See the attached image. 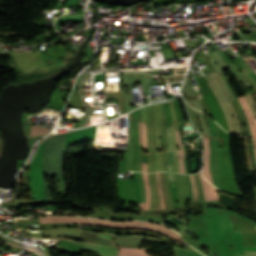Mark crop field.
Here are the masks:
<instances>
[{"mask_svg":"<svg viewBox=\"0 0 256 256\" xmlns=\"http://www.w3.org/2000/svg\"><path fill=\"white\" fill-rule=\"evenodd\" d=\"M39 219H40V223H76V224L93 226L91 221L87 218L58 216V217H39Z\"/></svg>","mask_w":256,"mask_h":256,"instance_id":"ac0d7876","label":"crop field"},{"mask_svg":"<svg viewBox=\"0 0 256 256\" xmlns=\"http://www.w3.org/2000/svg\"><path fill=\"white\" fill-rule=\"evenodd\" d=\"M138 177H139L141 191H142V200H141V202L145 203V189H144V183H143L141 173H138Z\"/></svg>","mask_w":256,"mask_h":256,"instance_id":"cbeb9de0","label":"crop field"},{"mask_svg":"<svg viewBox=\"0 0 256 256\" xmlns=\"http://www.w3.org/2000/svg\"><path fill=\"white\" fill-rule=\"evenodd\" d=\"M254 142V148H255V154H256V140H253Z\"/></svg>","mask_w":256,"mask_h":256,"instance_id":"a9b5d70f","label":"crop field"},{"mask_svg":"<svg viewBox=\"0 0 256 256\" xmlns=\"http://www.w3.org/2000/svg\"><path fill=\"white\" fill-rule=\"evenodd\" d=\"M199 176H200L202 188H203L204 195H205V201L219 200L214 187L203 179L201 172H199Z\"/></svg>","mask_w":256,"mask_h":256,"instance_id":"412701ff","label":"crop field"},{"mask_svg":"<svg viewBox=\"0 0 256 256\" xmlns=\"http://www.w3.org/2000/svg\"><path fill=\"white\" fill-rule=\"evenodd\" d=\"M146 165L147 163H142V172H147Z\"/></svg>","mask_w":256,"mask_h":256,"instance_id":"92a150f3","label":"crop field"},{"mask_svg":"<svg viewBox=\"0 0 256 256\" xmlns=\"http://www.w3.org/2000/svg\"><path fill=\"white\" fill-rule=\"evenodd\" d=\"M174 250H175V254L176 256H202L201 254L199 253H195V252H191V251H187V250H184V249H181L179 247H175L174 246Z\"/></svg>","mask_w":256,"mask_h":256,"instance_id":"3316defc","label":"crop field"},{"mask_svg":"<svg viewBox=\"0 0 256 256\" xmlns=\"http://www.w3.org/2000/svg\"><path fill=\"white\" fill-rule=\"evenodd\" d=\"M167 131H168V142H169L168 170L173 172V149H172L171 138H170V127H167Z\"/></svg>","mask_w":256,"mask_h":256,"instance_id":"5a996713","label":"crop field"},{"mask_svg":"<svg viewBox=\"0 0 256 256\" xmlns=\"http://www.w3.org/2000/svg\"><path fill=\"white\" fill-rule=\"evenodd\" d=\"M147 249L119 248V256H149L145 253Z\"/></svg>","mask_w":256,"mask_h":256,"instance_id":"dd49c442","label":"crop field"},{"mask_svg":"<svg viewBox=\"0 0 256 256\" xmlns=\"http://www.w3.org/2000/svg\"><path fill=\"white\" fill-rule=\"evenodd\" d=\"M143 174V179L145 183V188H146V193H147V203H146V210L149 209V203H150V186H149V181H148V176L145 173Z\"/></svg>","mask_w":256,"mask_h":256,"instance_id":"d1516ede","label":"crop field"},{"mask_svg":"<svg viewBox=\"0 0 256 256\" xmlns=\"http://www.w3.org/2000/svg\"><path fill=\"white\" fill-rule=\"evenodd\" d=\"M51 128L42 126H31V136L44 135L48 133Z\"/></svg>","mask_w":256,"mask_h":256,"instance_id":"d8731c3e","label":"crop field"},{"mask_svg":"<svg viewBox=\"0 0 256 256\" xmlns=\"http://www.w3.org/2000/svg\"><path fill=\"white\" fill-rule=\"evenodd\" d=\"M94 225L103 226V227H110L116 229H147L157 233L164 234L180 243L185 244L181 241L179 235L163 226L158 224L149 223V222H141V221H131V222H114V221H105L99 219H93Z\"/></svg>","mask_w":256,"mask_h":256,"instance_id":"8a807250","label":"crop field"},{"mask_svg":"<svg viewBox=\"0 0 256 256\" xmlns=\"http://www.w3.org/2000/svg\"><path fill=\"white\" fill-rule=\"evenodd\" d=\"M171 182H175L174 173H169Z\"/></svg>","mask_w":256,"mask_h":256,"instance_id":"dafd665d","label":"crop field"},{"mask_svg":"<svg viewBox=\"0 0 256 256\" xmlns=\"http://www.w3.org/2000/svg\"><path fill=\"white\" fill-rule=\"evenodd\" d=\"M247 95H248V94H247ZM248 97H249V95H248ZM249 99H250V97H249ZM250 101H251V99H250ZM251 104H252V106H253V108H254V105H253L252 101H251ZM254 110H255V108H254ZM255 112H256V110H255Z\"/></svg>","mask_w":256,"mask_h":256,"instance_id":"4177f3b9","label":"crop field"},{"mask_svg":"<svg viewBox=\"0 0 256 256\" xmlns=\"http://www.w3.org/2000/svg\"><path fill=\"white\" fill-rule=\"evenodd\" d=\"M210 173L212 176V180L214 186L223 190L218 171H217V163H216V144L214 140L210 139Z\"/></svg>","mask_w":256,"mask_h":256,"instance_id":"34b2d1b8","label":"crop field"},{"mask_svg":"<svg viewBox=\"0 0 256 256\" xmlns=\"http://www.w3.org/2000/svg\"><path fill=\"white\" fill-rule=\"evenodd\" d=\"M204 140V167L203 175L204 177L212 183L210 174H209V142L208 138H203Z\"/></svg>","mask_w":256,"mask_h":256,"instance_id":"f4fd0767","label":"crop field"},{"mask_svg":"<svg viewBox=\"0 0 256 256\" xmlns=\"http://www.w3.org/2000/svg\"><path fill=\"white\" fill-rule=\"evenodd\" d=\"M139 144H142V122H138Z\"/></svg>","mask_w":256,"mask_h":256,"instance_id":"733c2abd","label":"crop field"},{"mask_svg":"<svg viewBox=\"0 0 256 256\" xmlns=\"http://www.w3.org/2000/svg\"><path fill=\"white\" fill-rule=\"evenodd\" d=\"M242 99H243V101H244V103H245V105H246V107H247V109H248V111H249V113H250V115H251V117H252L253 122H254L255 125H256V119H255V117H254L252 111L250 110V108H249V106H248V104H247V101H246L245 97L242 96Z\"/></svg>","mask_w":256,"mask_h":256,"instance_id":"d9b57169","label":"crop field"},{"mask_svg":"<svg viewBox=\"0 0 256 256\" xmlns=\"http://www.w3.org/2000/svg\"><path fill=\"white\" fill-rule=\"evenodd\" d=\"M209 130H210V135L217 138V131H216V123L209 117L206 116Z\"/></svg>","mask_w":256,"mask_h":256,"instance_id":"22f410ed","label":"crop field"},{"mask_svg":"<svg viewBox=\"0 0 256 256\" xmlns=\"http://www.w3.org/2000/svg\"><path fill=\"white\" fill-rule=\"evenodd\" d=\"M193 179H194V183H195V186H196V195H197V200H199L198 187H197V183H196V180H195L194 175H193Z\"/></svg>","mask_w":256,"mask_h":256,"instance_id":"bc2a9ffb","label":"crop field"},{"mask_svg":"<svg viewBox=\"0 0 256 256\" xmlns=\"http://www.w3.org/2000/svg\"><path fill=\"white\" fill-rule=\"evenodd\" d=\"M143 133H144V149L147 150V128L145 123H143Z\"/></svg>","mask_w":256,"mask_h":256,"instance_id":"5142ce71","label":"crop field"},{"mask_svg":"<svg viewBox=\"0 0 256 256\" xmlns=\"http://www.w3.org/2000/svg\"><path fill=\"white\" fill-rule=\"evenodd\" d=\"M238 100H239L240 104L242 105V107H243V109H244V111H245V113H246L247 119H248V121H249V127H250V130H251V132H252V138H255V139H256V129H255V127H254V124H253V122L251 121V118H250V116H249V114H248V112H247V110H246V108H245V106H244V104H243L241 98L238 97Z\"/></svg>","mask_w":256,"mask_h":256,"instance_id":"28ad6ade","label":"crop field"},{"mask_svg":"<svg viewBox=\"0 0 256 256\" xmlns=\"http://www.w3.org/2000/svg\"><path fill=\"white\" fill-rule=\"evenodd\" d=\"M157 177H158V185H159V193H160V200H161V206H162V209H164V203H163V197H162V191H161V186H160V179H159V175L157 173Z\"/></svg>","mask_w":256,"mask_h":256,"instance_id":"4a817a6b","label":"crop field"},{"mask_svg":"<svg viewBox=\"0 0 256 256\" xmlns=\"http://www.w3.org/2000/svg\"><path fill=\"white\" fill-rule=\"evenodd\" d=\"M191 178V182H192V186H193V196H194V200L196 199V196H195V191H194V185H193V181H192V177L190 176Z\"/></svg>","mask_w":256,"mask_h":256,"instance_id":"00972430","label":"crop field"},{"mask_svg":"<svg viewBox=\"0 0 256 256\" xmlns=\"http://www.w3.org/2000/svg\"><path fill=\"white\" fill-rule=\"evenodd\" d=\"M175 136H176L178 145H179V147H180V149H181V150L178 151V154H179L180 173H185V171H184V163H183L184 151H183V147H182V144H181V140H180L178 131H175Z\"/></svg>","mask_w":256,"mask_h":256,"instance_id":"e52e79f7","label":"crop field"},{"mask_svg":"<svg viewBox=\"0 0 256 256\" xmlns=\"http://www.w3.org/2000/svg\"><path fill=\"white\" fill-rule=\"evenodd\" d=\"M245 254H246V256H256V253H254V252L245 251Z\"/></svg>","mask_w":256,"mask_h":256,"instance_id":"214f88e0","label":"crop field"}]
</instances>
